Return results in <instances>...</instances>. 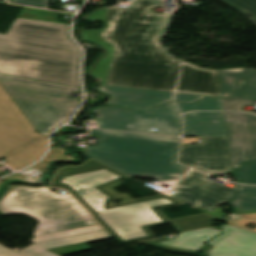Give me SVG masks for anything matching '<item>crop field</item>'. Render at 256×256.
<instances>
[{"mask_svg": "<svg viewBox=\"0 0 256 256\" xmlns=\"http://www.w3.org/2000/svg\"><path fill=\"white\" fill-rule=\"evenodd\" d=\"M162 0H134L129 8H109L88 16L104 23L86 30L83 38L106 46L110 55L92 75L102 85L173 92L180 62L169 57L159 40L171 15L151 12Z\"/></svg>", "mask_w": 256, "mask_h": 256, "instance_id": "obj_1", "label": "crop field"}, {"mask_svg": "<svg viewBox=\"0 0 256 256\" xmlns=\"http://www.w3.org/2000/svg\"><path fill=\"white\" fill-rule=\"evenodd\" d=\"M126 177L90 159L81 166L56 170L51 185L70 192L121 244L154 238L151 226L172 223L179 233L213 226L214 218L206 214L168 220L158 209L183 203L164 194L133 200L115 193L113 188ZM115 199L121 204H113Z\"/></svg>", "mask_w": 256, "mask_h": 256, "instance_id": "obj_2", "label": "crop field"}, {"mask_svg": "<svg viewBox=\"0 0 256 256\" xmlns=\"http://www.w3.org/2000/svg\"><path fill=\"white\" fill-rule=\"evenodd\" d=\"M69 26L15 19L0 34V72L81 88V51L68 37Z\"/></svg>", "mask_w": 256, "mask_h": 256, "instance_id": "obj_3", "label": "crop field"}, {"mask_svg": "<svg viewBox=\"0 0 256 256\" xmlns=\"http://www.w3.org/2000/svg\"><path fill=\"white\" fill-rule=\"evenodd\" d=\"M179 144L101 136L83 153L128 176L176 180L189 168L176 163Z\"/></svg>", "mask_w": 256, "mask_h": 256, "instance_id": "obj_4", "label": "crop field"}, {"mask_svg": "<svg viewBox=\"0 0 256 256\" xmlns=\"http://www.w3.org/2000/svg\"><path fill=\"white\" fill-rule=\"evenodd\" d=\"M52 187L14 185L0 200V215L25 214L39 221L34 236L79 228L96 223L69 195Z\"/></svg>", "mask_w": 256, "mask_h": 256, "instance_id": "obj_5", "label": "crop field"}, {"mask_svg": "<svg viewBox=\"0 0 256 256\" xmlns=\"http://www.w3.org/2000/svg\"><path fill=\"white\" fill-rule=\"evenodd\" d=\"M0 83L35 130L45 136L65 123L79 108L80 100L67 98L81 89L0 74Z\"/></svg>", "mask_w": 256, "mask_h": 256, "instance_id": "obj_6", "label": "crop field"}, {"mask_svg": "<svg viewBox=\"0 0 256 256\" xmlns=\"http://www.w3.org/2000/svg\"><path fill=\"white\" fill-rule=\"evenodd\" d=\"M47 139L34 130L0 84V159L18 170L44 154Z\"/></svg>", "mask_w": 256, "mask_h": 256, "instance_id": "obj_7", "label": "crop field"}, {"mask_svg": "<svg viewBox=\"0 0 256 256\" xmlns=\"http://www.w3.org/2000/svg\"><path fill=\"white\" fill-rule=\"evenodd\" d=\"M96 114L98 128L181 135L182 122L172 102L148 111L124 109L117 106L92 110Z\"/></svg>", "mask_w": 256, "mask_h": 256, "instance_id": "obj_8", "label": "crop field"}, {"mask_svg": "<svg viewBox=\"0 0 256 256\" xmlns=\"http://www.w3.org/2000/svg\"><path fill=\"white\" fill-rule=\"evenodd\" d=\"M208 176L191 170L173 186L176 191L170 197L220 220L223 209L216 207L232 199L234 188L218 184Z\"/></svg>", "mask_w": 256, "mask_h": 256, "instance_id": "obj_9", "label": "crop field"}, {"mask_svg": "<svg viewBox=\"0 0 256 256\" xmlns=\"http://www.w3.org/2000/svg\"><path fill=\"white\" fill-rule=\"evenodd\" d=\"M229 156L233 169L242 161L256 159V115L223 112Z\"/></svg>", "mask_w": 256, "mask_h": 256, "instance_id": "obj_10", "label": "crop field"}, {"mask_svg": "<svg viewBox=\"0 0 256 256\" xmlns=\"http://www.w3.org/2000/svg\"><path fill=\"white\" fill-rule=\"evenodd\" d=\"M181 164L206 172H232L226 138H202L201 145H182Z\"/></svg>", "mask_w": 256, "mask_h": 256, "instance_id": "obj_11", "label": "crop field"}, {"mask_svg": "<svg viewBox=\"0 0 256 256\" xmlns=\"http://www.w3.org/2000/svg\"><path fill=\"white\" fill-rule=\"evenodd\" d=\"M224 233L208 242L203 256H256V234L222 225Z\"/></svg>", "mask_w": 256, "mask_h": 256, "instance_id": "obj_12", "label": "crop field"}, {"mask_svg": "<svg viewBox=\"0 0 256 256\" xmlns=\"http://www.w3.org/2000/svg\"><path fill=\"white\" fill-rule=\"evenodd\" d=\"M175 92L221 97L218 71L183 62Z\"/></svg>", "mask_w": 256, "mask_h": 256, "instance_id": "obj_13", "label": "crop field"}, {"mask_svg": "<svg viewBox=\"0 0 256 256\" xmlns=\"http://www.w3.org/2000/svg\"><path fill=\"white\" fill-rule=\"evenodd\" d=\"M98 90L105 92L111 98L105 104H116L120 107L137 108L140 110L150 109L168 100H172V94L117 87L99 86Z\"/></svg>", "mask_w": 256, "mask_h": 256, "instance_id": "obj_14", "label": "crop field"}, {"mask_svg": "<svg viewBox=\"0 0 256 256\" xmlns=\"http://www.w3.org/2000/svg\"><path fill=\"white\" fill-rule=\"evenodd\" d=\"M109 238L110 236L105 231H102L39 243L21 251L20 253L26 256H59L62 254L90 250L91 248L86 243Z\"/></svg>", "mask_w": 256, "mask_h": 256, "instance_id": "obj_15", "label": "crop field"}, {"mask_svg": "<svg viewBox=\"0 0 256 256\" xmlns=\"http://www.w3.org/2000/svg\"><path fill=\"white\" fill-rule=\"evenodd\" d=\"M222 97L239 96L256 99V70L219 71Z\"/></svg>", "mask_w": 256, "mask_h": 256, "instance_id": "obj_16", "label": "crop field"}, {"mask_svg": "<svg viewBox=\"0 0 256 256\" xmlns=\"http://www.w3.org/2000/svg\"><path fill=\"white\" fill-rule=\"evenodd\" d=\"M184 136L226 137L222 112H192L183 116Z\"/></svg>", "mask_w": 256, "mask_h": 256, "instance_id": "obj_17", "label": "crop field"}, {"mask_svg": "<svg viewBox=\"0 0 256 256\" xmlns=\"http://www.w3.org/2000/svg\"><path fill=\"white\" fill-rule=\"evenodd\" d=\"M220 233L219 227H211L197 231L176 234L177 239L154 243L155 246L167 250L191 253L199 250L214 235Z\"/></svg>", "mask_w": 256, "mask_h": 256, "instance_id": "obj_18", "label": "crop field"}, {"mask_svg": "<svg viewBox=\"0 0 256 256\" xmlns=\"http://www.w3.org/2000/svg\"><path fill=\"white\" fill-rule=\"evenodd\" d=\"M237 194L229 202L234 205L236 211H245L246 213L256 212V187L237 185Z\"/></svg>", "mask_w": 256, "mask_h": 256, "instance_id": "obj_19", "label": "crop field"}, {"mask_svg": "<svg viewBox=\"0 0 256 256\" xmlns=\"http://www.w3.org/2000/svg\"><path fill=\"white\" fill-rule=\"evenodd\" d=\"M65 150L50 149L46 158L40 163L22 171L24 174L41 181L47 174V167L52 160L70 161L74 158L63 156Z\"/></svg>", "mask_w": 256, "mask_h": 256, "instance_id": "obj_20", "label": "crop field"}, {"mask_svg": "<svg viewBox=\"0 0 256 256\" xmlns=\"http://www.w3.org/2000/svg\"><path fill=\"white\" fill-rule=\"evenodd\" d=\"M181 113L191 110H222L221 99L207 97L195 104L176 102Z\"/></svg>", "mask_w": 256, "mask_h": 256, "instance_id": "obj_21", "label": "crop field"}, {"mask_svg": "<svg viewBox=\"0 0 256 256\" xmlns=\"http://www.w3.org/2000/svg\"><path fill=\"white\" fill-rule=\"evenodd\" d=\"M89 134L121 136V137H130V138H139V139H148V140L175 142V143H179L180 141V138H176V137L121 133V132H112V131H103V130H90Z\"/></svg>", "mask_w": 256, "mask_h": 256, "instance_id": "obj_22", "label": "crop field"}, {"mask_svg": "<svg viewBox=\"0 0 256 256\" xmlns=\"http://www.w3.org/2000/svg\"><path fill=\"white\" fill-rule=\"evenodd\" d=\"M234 177L238 183L256 184V160L242 163L240 169L234 170Z\"/></svg>", "mask_w": 256, "mask_h": 256, "instance_id": "obj_23", "label": "crop field"}, {"mask_svg": "<svg viewBox=\"0 0 256 256\" xmlns=\"http://www.w3.org/2000/svg\"><path fill=\"white\" fill-rule=\"evenodd\" d=\"M97 230H102V228L99 227L98 225H95V226H90V227H84V228H79V229H74V230H68V231H63V232H58V233L42 235V236H36V237H33V239L30 241L37 243V242H42V241H46V240H51V239H56V238H60V237L81 234V233H86V232H91V231H97Z\"/></svg>", "mask_w": 256, "mask_h": 256, "instance_id": "obj_24", "label": "crop field"}, {"mask_svg": "<svg viewBox=\"0 0 256 256\" xmlns=\"http://www.w3.org/2000/svg\"><path fill=\"white\" fill-rule=\"evenodd\" d=\"M225 223L256 233V229L253 230L245 227L248 223H256V214L255 215H234L230 217Z\"/></svg>", "mask_w": 256, "mask_h": 256, "instance_id": "obj_25", "label": "crop field"}, {"mask_svg": "<svg viewBox=\"0 0 256 256\" xmlns=\"http://www.w3.org/2000/svg\"><path fill=\"white\" fill-rule=\"evenodd\" d=\"M241 11L254 17L256 21V0H225Z\"/></svg>", "mask_w": 256, "mask_h": 256, "instance_id": "obj_26", "label": "crop field"}, {"mask_svg": "<svg viewBox=\"0 0 256 256\" xmlns=\"http://www.w3.org/2000/svg\"><path fill=\"white\" fill-rule=\"evenodd\" d=\"M253 100L240 99V98H230L222 99L223 110H242L243 105H252Z\"/></svg>", "mask_w": 256, "mask_h": 256, "instance_id": "obj_27", "label": "crop field"}, {"mask_svg": "<svg viewBox=\"0 0 256 256\" xmlns=\"http://www.w3.org/2000/svg\"><path fill=\"white\" fill-rule=\"evenodd\" d=\"M9 2L47 9V0H9Z\"/></svg>", "mask_w": 256, "mask_h": 256, "instance_id": "obj_28", "label": "crop field"}, {"mask_svg": "<svg viewBox=\"0 0 256 256\" xmlns=\"http://www.w3.org/2000/svg\"><path fill=\"white\" fill-rule=\"evenodd\" d=\"M205 96H197V95H185V94H177L175 93V98L177 101L192 103L195 102Z\"/></svg>", "mask_w": 256, "mask_h": 256, "instance_id": "obj_29", "label": "crop field"}, {"mask_svg": "<svg viewBox=\"0 0 256 256\" xmlns=\"http://www.w3.org/2000/svg\"><path fill=\"white\" fill-rule=\"evenodd\" d=\"M0 256H22V255L0 245Z\"/></svg>", "mask_w": 256, "mask_h": 256, "instance_id": "obj_30", "label": "crop field"}, {"mask_svg": "<svg viewBox=\"0 0 256 256\" xmlns=\"http://www.w3.org/2000/svg\"><path fill=\"white\" fill-rule=\"evenodd\" d=\"M11 177L21 178V179L26 180V181L35 182L33 179H31V178H29V177H27V176H25V175H23L21 173H17V174H14L12 176H9V177L2 178V180H5V179L11 178Z\"/></svg>", "mask_w": 256, "mask_h": 256, "instance_id": "obj_31", "label": "crop field"}, {"mask_svg": "<svg viewBox=\"0 0 256 256\" xmlns=\"http://www.w3.org/2000/svg\"><path fill=\"white\" fill-rule=\"evenodd\" d=\"M0 165H2V164H0Z\"/></svg>", "mask_w": 256, "mask_h": 256, "instance_id": "obj_32", "label": "crop field"}]
</instances>
